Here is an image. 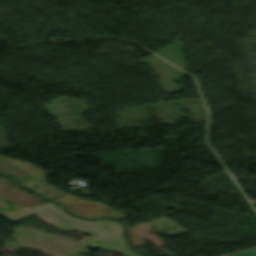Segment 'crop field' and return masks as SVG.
<instances>
[{
  "label": "crop field",
  "mask_w": 256,
  "mask_h": 256,
  "mask_svg": "<svg viewBox=\"0 0 256 256\" xmlns=\"http://www.w3.org/2000/svg\"><path fill=\"white\" fill-rule=\"evenodd\" d=\"M33 213L63 230L75 229L94 235L95 237L82 241L89 247L117 251L126 256H139L127 246L123 238L122 227L119 222L114 220H82L69 215L51 202L26 209L6 218L14 221Z\"/></svg>",
  "instance_id": "crop-field-1"
},
{
  "label": "crop field",
  "mask_w": 256,
  "mask_h": 256,
  "mask_svg": "<svg viewBox=\"0 0 256 256\" xmlns=\"http://www.w3.org/2000/svg\"><path fill=\"white\" fill-rule=\"evenodd\" d=\"M230 256H256V249H252L243 253L230 255Z\"/></svg>",
  "instance_id": "crop-field-4"
},
{
  "label": "crop field",
  "mask_w": 256,
  "mask_h": 256,
  "mask_svg": "<svg viewBox=\"0 0 256 256\" xmlns=\"http://www.w3.org/2000/svg\"><path fill=\"white\" fill-rule=\"evenodd\" d=\"M22 189L13 181L0 177V200L6 202L8 214L47 201L33 193L29 195L28 191H20Z\"/></svg>",
  "instance_id": "crop-field-2"
},
{
  "label": "crop field",
  "mask_w": 256,
  "mask_h": 256,
  "mask_svg": "<svg viewBox=\"0 0 256 256\" xmlns=\"http://www.w3.org/2000/svg\"><path fill=\"white\" fill-rule=\"evenodd\" d=\"M0 173L5 174L18 182L30 178L31 176L23 173L22 171L12 167L11 165L0 160Z\"/></svg>",
  "instance_id": "crop-field-3"
}]
</instances>
